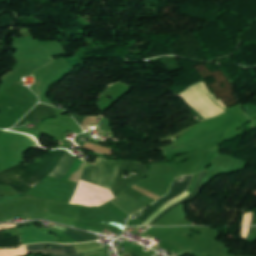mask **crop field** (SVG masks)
I'll return each instance as SVG.
<instances>
[{
	"label": "crop field",
	"instance_id": "crop-field-1",
	"mask_svg": "<svg viewBox=\"0 0 256 256\" xmlns=\"http://www.w3.org/2000/svg\"><path fill=\"white\" fill-rule=\"evenodd\" d=\"M53 151L66 152L67 150ZM63 155L62 152H49L43 159H35L27 166L20 164L2 171L0 172V185H10L20 194H26L54 170Z\"/></svg>",
	"mask_w": 256,
	"mask_h": 256
},
{
	"label": "crop field",
	"instance_id": "crop-field-2",
	"mask_svg": "<svg viewBox=\"0 0 256 256\" xmlns=\"http://www.w3.org/2000/svg\"><path fill=\"white\" fill-rule=\"evenodd\" d=\"M117 161H103L98 158L95 165L85 163L82 180L99 184L111 190L119 165Z\"/></svg>",
	"mask_w": 256,
	"mask_h": 256
},
{
	"label": "crop field",
	"instance_id": "crop-field-3",
	"mask_svg": "<svg viewBox=\"0 0 256 256\" xmlns=\"http://www.w3.org/2000/svg\"><path fill=\"white\" fill-rule=\"evenodd\" d=\"M193 176L194 175H187L181 178H177V180L175 181L174 185L171 188L170 195L160 200L158 203H156L154 206L148 209L145 213H143L140 216L141 217L140 220L145 221L151 214H153L157 209H159L164 203L184 193V191L188 189Z\"/></svg>",
	"mask_w": 256,
	"mask_h": 256
},
{
	"label": "crop field",
	"instance_id": "crop-field-4",
	"mask_svg": "<svg viewBox=\"0 0 256 256\" xmlns=\"http://www.w3.org/2000/svg\"><path fill=\"white\" fill-rule=\"evenodd\" d=\"M47 245H50V250L44 249V247ZM59 246L60 245L51 244V243L26 245L29 254L34 253V252L45 253V254H64V245H61V248H59ZM26 253H27V251H26ZM73 253H76L74 250V246L73 245H65V254H73ZM27 255H28V253H27ZM51 256H83V254L80 253V254H74V255H51Z\"/></svg>",
	"mask_w": 256,
	"mask_h": 256
},
{
	"label": "crop field",
	"instance_id": "crop-field-5",
	"mask_svg": "<svg viewBox=\"0 0 256 256\" xmlns=\"http://www.w3.org/2000/svg\"><path fill=\"white\" fill-rule=\"evenodd\" d=\"M76 159L77 158L74 155H72L70 152L67 151L66 154L63 156V158L58 163L55 170L48 176L57 178L60 180H64L66 174L68 173V171L70 170V168L72 167V165L74 164Z\"/></svg>",
	"mask_w": 256,
	"mask_h": 256
},
{
	"label": "crop field",
	"instance_id": "crop-field-6",
	"mask_svg": "<svg viewBox=\"0 0 256 256\" xmlns=\"http://www.w3.org/2000/svg\"><path fill=\"white\" fill-rule=\"evenodd\" d=\"M63 233L71 236L72 238L76 239L79 242H89V241L98 240L95 234L83 232L80 230L68 229Z\"/></svg>",
	"mask_w": 256,
	"mask_h": 256
},
{
	"label": "crop field",
	"instance_id": "crop-field-7",
	"mask_svg": "<svg viewBox=\"0 0 256 256\" xmlns=\"http://www.w3.org/2000/svg\"><path fill=\"white\" fill-rule=\"evenodd\" d=\"M207 170L203 171L201 173L200 179L198 181L196 190L193 194H191L190 196H188L186 199L174 204L172 207H170L168 210L164 211L163 213H161L152 223H150L149 225H154L164 214H166L167 212H169L170 210H172L173 208L185 203L186 201H188L189 199L193 198L200 190V186H201V180L203 179V177L205 176ZM203 181V180H202Z\"/></svg>",
	"mask_w": 256,
	"mask_h": 256
},
{
	"label": "crop field",
	"instance_id": "crop-field-8",
	"mask_svg": "<svg viewBox=\"0 0 256 256\" xmlns=\"http://www.w3.org/2000/svg\"><path fill=\"white\" fill-rule=\"evenodd\" d=\"M2 232H4V231L0 232V248H13V247L20 246L21 235L3 238L4 234Z\"/></svg>",
	"mask_w": 256,
	"mask_h": 256
},
{
	"label": "crop field",
	"instance_id": "crop-field-9",
	"mask_svg": "<svg viewBox=\"0 0 256 256\" xmlns=\"http://www.w3.org/2000/svg\"><path fill=\"white\" fill-rule=\"evenodd\" d=\"M186 192H187V191H186ZM186 192H185V193H186ZM185 193H184V194H185ZM182 195H183V194H182ZM182 195H181V196H182ZM179 197H180V196H179ZM177 198H178V197H177ZM175 199H176V198H175ZM173 200H174V199H173ZM171 201H172V200H171ZM169 202H170V201H169ZM166 204H167V203H166Z\"/></svg>",
	"mask_w": 256,
	"mask_h": 256
}]
</instances>
